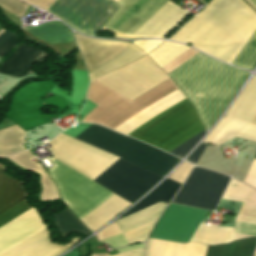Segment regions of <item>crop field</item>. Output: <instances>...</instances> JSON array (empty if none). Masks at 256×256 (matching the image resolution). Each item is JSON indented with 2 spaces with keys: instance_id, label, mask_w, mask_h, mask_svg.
<instances>
[{
  "instance_id": "d9b57169",
  "label": "crop field",
  "mask_w": 256,
  "mask_h": 256,
  "mask_svg": "<svg viewBox=\"0 0 256 256\" xmlns=\"http://www.w3.org/2000/svg\"><path fill=\"white\" fill-rule=\"evenodd\" d=\"M151 239H148L145 256H148ZM207 246L190 242L186 244L153 240L149 256H205Z\"/></svg>"
},
{
  "instance_id": "cbeb9de0",
  "label": "crop field",
  "mask_w": 256,
  "mask_h": 256,
  "mask_svg": "<svg viewBox=\"0 0 256 256\" xmlns=\"http://www.w3.org/2000/svg\"><path fill=\"white\" fill-rule=\"evenodd\" d=\"M166 204L159 202L116 221L128 243L146 241L147 235Z\"/></svg>"
},
{
  "instance_id": "bd1437ed",
  "label": "crop field",
  "mask_w": 256,
  "mask_h": 256,
  "mask_svg": "<svg viewBox=\"0 0 256 256\" xmlns=\"http://www.w3.org/2000/svg\"><path fill=\"white\" fill-rule=\"evenodd\" d=\"M143 253H144V249L127 252V253H122V254H117V255H112V256H143ZM91 256H109V255L108 254H99V255H91Z\"/></svg>"
},
{
  "instance_id": "d3111659",
  "label": "crop field",
  "mask_w": 256,
  "mask_h": 256,
  "mask_svg": "<svg viewBox=\"0 0 256 256\" xmlns=\"http://www.w3.org/2000/svg\"><path fill=\"white\" fill-rule=\"evenodd\" d=\"M103 242L109 244L113 248L121 247L124 245H127V242L125 241L122 234L115 235L113 237H110L108 239L103 240Z\"/></svg>"
},
{
  "instance_id": "4177f3b9",
  "label": "crop field",
  "mask_w": 256,
  "mask_h": 256,
  "mask_svg": "<svg viewBox=\"0 0 256 256\" xmlns=\"http://www.w3.org/2000/svg\"><path fill=\"white\" fill-rule=\"evenodd\" d=\"M197 51L193 49H188L186 52H184L182 55L177 57L175 60L170 62L168 65H166L164 68H162L163 71H165L167 74L170 73L172 70H174L176 67H178L180 64H182L184 61H186L188 58H190L192 55H194ZM197 54V53H196Z\"/></svg>"
},
{
  "instance_id": "bc2a9ffb",
  "label": "crop field",
  "mask_w": 256,
  "mask_h": 256,
  "mask_svg": "<svg viewBox=\"0 0 256 256\" xmlns=\"http://www.w3.org/2000/svg\"><path fill=\"white\" fill-rule=\"evenodd\" d=\"M180 184L173 182L169 179H166L163 183H161L150 195H148L145 199H143L134 209L128 212L123 217L132 214L138 210H141L145 207H148L152 204H155L159 201H162L166 204L171 200L174 196Z\"/></svg>"
},
{
  "instance_id": "f4fd0767",
  "label": "crop field",
  "mask_w": 256,
  "mask_h": 256,
  "mask_svg": "<svg viewBox=\"0 0 256 256\" xmlns=\"http://www.w3.org/2000/svg\"><path fill=\"white\" fill-rule=\"evenodd\" d=\"M116 1V0H115ZM168 0H117L121 6L104 28L131 35ZM191 15L167 2L131 36L114 32L116 38L165 39ZM111 31L108 29H104Z\"/></svg>"
},
{
  "instance_id": "730fd06b",
  "label": "crop field",
  "mask_w": 256,
  "mask_h": 256,
  "mask_svg": "<svg viewBox=\"0 0 256 256\" xmlns=\"http://www.w3.org/2000/svg\"><path fill=\"white\" fill-rule=\"evenodd\" d=\"M192 165L187 164L184 162L173 174H171L168 178L183 183L185 178L187 177ZM193 168V167H192Z\"/></svg>"
},
{
  "instance_id": "e52e79f7",
  "label": "crop field",
  "mask_w": 256,
  "mask_h": 256,
  "mask_svg": "<svg viewBox=\"0 0 256 256\" xmlns=\"http://www.w3.org/2000/svg\"><path fill=\"white\" fill-rule=\"evenodd\" d=\"M91 127L177 163L180 159L98 125ZM88 127L76 139L164 176L175 163Z\"/></svg>"
},
{
  "instance_id": "8a807250",
  "label": "crop field",
  "mask_w": 256,
  "mask_h": 256,
  "mask_svg": "<svg viewBox=\"0 0 256 256\" xmlns=\"http://www.w3.org/2000/svg\"><path fill=\"white\" fill-rule=\"evenodd\" d=\"M51 161L54 166L49 169V175L55 181L61 199L77 218L80 219L113 194L58 160ZM161 178L119 158L92 180L132 203Z\"/></svg>"
},
{
  "instance_id": "4a817a6b",
  "label": "crop field",
  "mask_w": 256,
  "mask_h": 256,
  "mask_svg": "<svg viewBox=\"0 0 256 256\" xmlns=\"http://www.w3.org/2000/svg\"><path fill=\"white\" fill-rule=\"evenodd\" d=\"M25 30L50 44L72 41L69 30L60 22L48 23L37 28H27Z\"/></svg>"
},
{
  "instance_id": "eef30255",
  "label": "crop field",
  "mask_w": 256,
  "mask_h": 256,
  "mask_svg": "<svg viewBox=\"0 0 256 256\" xmlns=\"http://www.w3.org/2000/svg\"><path fill=\"white\" fill-rule=\"evenodd\" d=\"M161 42L162 41L147 40V41H135L133 43L137 45L139 48H141L145 52V54H147L156 46H158Z\"/></svg>"
},
{
  "instance_id": "34b2d1b8",
  "label": "crop field",
  "mask_w": 256,
  "mask_h": 256,
  "mask_svg": "<svg viewBox=\"0 0 256 256\" xmlns=\"http://www.w3.org/2000/svg\"><path fill=\"white\" fill-rule=\"evenodd\" d=\"M222 198L243 202L235 220L256 224L254 190L231 180ZM207 213L206 210L171 204L159 220L151 238L182 243L192 241ZM235 232L256 237V226L235 221ZM237 233H234V228L205 226L202 222L193 241L215 245L249 237Z\"/></svg>"
},
{
  "instance_id": "750c4746",
  "label": "crop field",
  "mask_w": 256,
  "mask_h": 256,
  "mask_svg": "<svg viewBox=\"0 0 256 256\" xmlns=\"http://www.w3.org/2000/svg\"><path fill=\"white\" fill-rule=\"evenodd\" d=\"M206 145L207 144L201 143L187 160L196 164L197 160L199 159V157L202 154L203 150L205 149Z\"/></svg>"
},
{
  "instance_id": "d32e631a",
  "label": "crop field",
  "mask_w": 256,
  "mask_h": 256,
  "mask_svg": "<svg viewBox=\"0 0 256 256\" xmlns=\"http://www.w3.org/2000/svg\"><path fill=\"white\" fill-rule=\"evenodd\" d=\"M65 256H79V253H78L77 250L75 249V250L71 251L70 253H68V254L65 255Z\"/></svg>"
},
{
  "instance_id": "3316defc",
  "label": "crop field",
  "mask_w": 256,
  "mask_h": 256,
  "mask_svg": "<svg viewBox=\"0 0 256 256\" xmlns=\"http://www.w3.org/2000/svg\"><path fill=\"white\" fill-rule=\"evenodd\" d=\"M256 76L252 77L226 115L204 142L219 145L235 137L256 142Z\"/></svg>"
},
{
  "instance_id": "ae1a2a85",
  "label": "crop field",
  "mask_w": 256,
  "mask_h": 256,
  "mask_svg": "<svg viewBox=\"0 0 256 256\" xmlns=\"http://www.w3.org/2000/svg\"><path fill=\"white\" fill-rule=\"evenodd\" d=\"M17 42L19 41L16 39V35L14 34L0 45V56L4 57Z\"/></svg>"
},
{
  "instance_id": "28ad6ade",
  "label": "crop field",
  "mask_w": 256,
  "mask_h": 256,
  "mask_svg": "<svg viewBox=\"0 0 256 256\" xmlns=\"http://www.w3.org/2000/svg\"><path fill=\"white\" fill-rule=\"evenodd\" d=\"M229 178L194 167L172 202L214 210Z\"/></svg>"
},
{
  "instance_id": "00972430",
  "label": "crop field",
  "mask_w": 256,
  "mask_h": 256,
  "mask_svg": "<svg viewBox=\"0 0 256 256\" xmlns=\"http://www.w3.org/2000/svg\"><path fill=\"white\" fill-rule=\"evenodd\" d=\"M0 6L19 17L24 15L28 8L27 5L19 2L18 0H0Z\"/></svg>"
},
{
  "instance_id": "733c2abd",
  "label": "crop field",
  "mask_w": 256,
  "mask_h": 256,
  "mask_svg": "<svg viewBox=\"0 0 256 256\" xmlns=\"http://www.w3.org/2000/svg\"><path fill=\"white\" fill-rule=\"evenodd\" d=\"M256 238L233 241L227 245L208 246L206 256H252Z\"/></svg>"
},
{
  "instance_id": "d8731c3e",
  "label": "crop field",
  "mask_w": 256,
  "mask_h": 256,
  "mask_svg": "<svg viewBox=\"0 0 256 256\" xmlns=\"http://www.w3.org/2000/svg\"><path fill=\"white\" fill-rule=\"evenodd\" d=\"M188 104L190 103L186 99L161 112L147 123L139 127L130 135V137H137ZM202 129L204 128L190 104L147 132L143 133L136 139L168 152Z\"/></svg>"
},
{
  "instance_id": "5142ce71",
  "label": "crop field",
  "mask_w": 256,
  "mask_h": 256,
  "mask_svg": "<svg viewBox=\"0 0 256 256\" xmlns=\"http://www.w3.org/2000/svg\"><path fill=\"white\" fill-rule=\"evenodd\" d=\"M49 53L37 47L20 43L0 68V73L21 78L32 73V65Z\"/></svg>"
},
{
  "instance_id": "22f410ed",
  "label": "crop field",
  "mask_w": 256,
  "mask_h": 256,
  "mask_svg": "<svg viewBox=\"0 0 256 256\" xmlns=\"http://www.w3.org/2000/svg\"><path fill=\"white\" fill-rule=\"evenodd\" d=\"M74 36L88 73L102 66L130 45L126 42L90 39L75 33Z\"/></svg>"
},
{
  "instance_id": "5866460e",
  "label": "crop field",
  "mask_w": 256,
  "mask_h": 256,
  "mask_svg": "<svg viewBox=\"0 0 256 256\" xmlns=\"http://www.w3.org/2000/svg\"><path fill=\"white\" fill-rule=\"evenodd\" d=\"M4 31V29H0V33H2Z\"/></svg>"
},
{
  "instance_id": "214f88e0",
  "label": "crop field",
  "mask_w": 256,
  "mask_h": 256,
  "mask_svg": "<svg viewBox=\"0 0 256 256\" xmlns=\"http://www.w3.org/2000/svg\"><path fill=\"white\" fill-rule=\"evenodd\" d=\"M54 221L55 226L62 237H65L72 232H78L85 235L90 234V232L66 208L55 215Z\"/></svg>"
},
{
  "instance_id": "1d83c4d3",
  "label": "crop field",
  "mask_w": 256,
  "mask_h": 256,
  "mask_svg": "<svg viewBox=\"0 0 256 256\" xmlns=\"http://www.w3.org/2000/svg\"><path fill=\"white\" fill-rule=\"evenodd\" d=\"M145 244H137V245H131L127 246L125 248L117 249L119 253L121 252H126V251H131V250H137V249H142L144 248Z\"/></svg>"
},
{
  "instance_id": "e1f06a70",
  "label": "crop field",
  "mask_w": 256,
  "mask_h": 256,
  "mask_svg": "<svg viewBox=\"0 0 256 256\" xmlns=\"http://www.w3.org/2000/svg\"><path fill=\"white\" fill-rule=\"evenodd\" d=\"M255 124H256V122H255Z\"/></svg>"
},
{
  "instance_id": "a9b5d70f",
  "label": "crop field",
  "mask_w": 256,
  "mask_h": 256,
  "mask_svg": "<svg viewBox=\"0 0 256 256\" xmlns=\"http://www.w3.org/2000/svg\"><path fill=\"white\" fill-rule=\"evenodd\" d=\"M205 133V130L202 131L201 133L197 134L190 140L177 147L176 149L172 150L170 153L182 158L202 138Z\"/></svg>"
},
{
  "instance_id": "d1516ede",
  "label": "crop field",
  "mask_w": 256,
  "mask_h": 256,
  "mask_svg": "<svg viewBox=\"0 0 256 256\" xmlns=\"http://www.w3.org/2000/svg\"><path fill=\"white\" fill-rule=\"evenodd\" d=\"M28 194L21 182L0 170V226L33 209L27 203Z\"/></svg>"
},
{
  "instance_id": "92a150f3",
  "label": "crop field",
  "mask_w": 256,
  "mask_h": 256,
  "mask_svg": "<svg viewBox=\"0 0 256 256\" xmlns=\"http://www.w3.org/2000/svg\"><path fill=\"white\" fill-rule=\"evenodd\" d=\"M189 47L181 44L165 41L149 54H147L159 67L173 60L175 57L183 53Z\"/></svg>"
},
{
  "instance_id": "ac0d7876",
  "label": "crop field",
  "mask_w": 256,
  "mask_h": 256,
  "mask_svg": "<svg viewBox=\"0 0 256 256\" xmlns=\"http://www.w3.org/2000/svg\"><path fill=\"white\" fill-rule=\"evenodd\" d=\"M247 1L256 10V0ZM255 30L256 13L242 0H212L169 39L230 64Z\"/></svg>"
},
{
  "instance_id": "dd49c442",
  "label": "crop field",
  "mask_w": 256,
  "mask_h": 256,
  "mask_svg": "<svg viewBox=\"0 0 256 256\" xmlns=\"http://www.w3.org/2000/svg\"><path fill=\"white\" fill-rule=\"evenodd\" d=\"M46 229L38 213L33 209L13 221L0 227V252ZM46 230L0 253V256H57L75 244L74 238L69 244L58 246L49 240Z\"/></svg>"
},
{
  "instance_id": "dafd665d",
  "label": "crop field",
  "mask_w": 256,
  "mask_h": 256,
  "mask_svg": "<svg viewBox=\"0 0 256 256\" xmlns=\"http://www.w3.org/2000/svg\"><path fill=\"white\" fill-rule=\"evenodd\" d=\"M232 64L246 70L254 69L256 66V32Z\"/></svg>"
},
{
  "instance_id": "028f5c9d",
  "label": "crop field",
  "mask_w": 256,
  "mask_h": 256,
  "mask_svg": "<svg viewBox=\"0 0 256 256\" xmlns=\"http://www.w3.org/2000/svg\"><path fill=\"white\" fill-rule=\"evenodd\" d=\"M254 256H256V255H254Z\"/></svg>"
},
{
  "instance_id": "120bbe31",
  "label": "crop field",
  "mask_w": 256,
  "mask_h": 256,
  "mask_svg": "<svg viewBox=\"0 0 256 256\" xmlns=\"http://www.w3.org/2000/svg\"><path fill=\"white\" fill-rule=\"evenodd\" d=\"M11 35H13V33L9 32V31H5L0 35V44H2L6 39H8Z\"/></svg>"
},
{
  "instance_id": "412701ff",
  "label": "crop field",
  "mask_w": 256,
  "mask_h": 256,
  "mask_svg": "<svg viewBox=\"0 0 256 256\" xmlns=\"http://www.w3.org/2000/svg\"><path fill=\"white\" fill-rule=\"evenodd\" d=\"M168 75L209 129L249 74L198 52Z\"/></svg>"
},
{
  "instance_id": "5a996713",
  "label": "crop field",
  "mask_w": 256,
  "mask_h": 256,
  "mask_svg": "<svg viewBox=\"0 0 256 256\" xmlns=\"http://www.w3.org/2000/svg\"><path fill=\"white\" fill-rule=\"evenodd\" d=\"M25 1L46 11L55 0ZM119 6L112 0H56L47 12L73 29L95 36Z\"/></svg>"
}]
</instances>
